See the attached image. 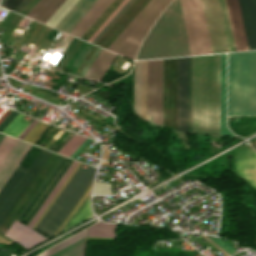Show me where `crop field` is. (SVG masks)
<instances>
[{
  "mask_svg": "<svg viewBox=\"0 0 256 256\" xmlns=\"http://www.w3.org/2000/svg\"><path fill=\"white\" fill-rule=\"evenodd\" d=\"M220 55L193 57V131L219 133Z\"/></svg>",
  "mask_w": 256,
  "mask_h": 256,
  "instance_id": "8a807250",
  "label": "crop field"
},
{
  "mask_svg": "<svg viewBox=\"0 0 256 256\" xmlns=\"http://www.w3.org/2000/svg\"><path fill=\"white\" fill-rule=\"evenodd\" d=\"M191 55L179 0L162 14L142 43L137 58Z\"/></svg>",
  "mask_w": 256,
  "mask_h": 256,
  "instance_id": "ac0d7876",
  "label": "crop field"
},
{
  "mask_svg": "<svg viewBox=\"0 0 256 256\" xmlns=\"http://www.w3.org/2000/svg\"><path fill=\"white\" fill-rule=\"evenodd\" d=\"M228 115H256V52L229 54Z\"/></svg>",
  "mask_w": 256,
  "mask_h": 256,
  "instance_id": "34b2d1b8",
  "label": "crop field"
},
{
  "mask_svg": "<svg viewBox=\"0 0 256 256\" xmlns=\"http://www.w3.org/2000/svg\"><path fill=\"white\" fill-rule=\"evenodd\" d=\"M83 163L73 175L69 183L61 192L59 197L53 203L51 208L36 226V230L51 236L53 232L59 227V225L69 215L82 193L86 189L87 185L91 181L96 168L88 167L87 170L81 169Z\"/></svg>",
  "mask_w": 256,
  "mask_h": 256,
  "instance_id": "412701ff",
  "label": "crop field"
},
{
  "mask_svg": "<svg viewBox=\"0 0 256 256\" xmlns=\"http://www.w3.org/2000/svg\"><path fill=\"white\" fill-rule=\"evenodd\" d=\"M171 1L172 0H151L111 44L108 50L133 60L139 44L147 34L151 25Z\"/></svg>",
  "mask_w": 256,
  "mask_h": 256,
  "instance_id": "f4fd0767",
  "label": "crop field"
},
{
  "mask_svg": "<svg viewBox=\"0 0 256 256\" xmlns=\"http://www.w3.org/2000/svg\"><path fill=\"white\" fill-rule=\"evenodd\" d=\"M50 155L51 152L42 149L28 169L16 168L0 191V223Z\"/></svg>",
  "mask_w": 256,
  "mask_h": 256,
  "instance_id": "dd49c442",
  "label": "crop field"
},
{
  "mask_svg": "<svg viewBox=\"0 0 256 256\" xmlns=\"http://www.w3.org/2000/svg\"><path fill=\"white\" fill-rule=\"evenodd\" d=\"M192 55L212 53L201 0H180Z\"/></svg>",
  "mask_w": 256,
  "mask_h": 256,
  "instance_id": "e52e79f7",
  "label": "crop field"
},
{
  "mask_svg": "<svg viewBox=\"0 0 256 256\" xmlns=\"http://www.w3.org/2000/svg\"><path fill=\"white\" fill-rule=\"evenodd\" d=\"M177 58L163 60L162 127L176 130Z\"/></svg>",
  "mask_w": 256,
  "mask_h": 256,
  "instance_id": "d8731c3e",
  "label": "crop field"
},
{
  "mask_svg": "<svg viewBox=\"0 0 256 256\" xmlns=\"http://www.w3.org/2000/svg\"><path fill=\"white\" fill-rule=\"evenodd\" d=\"M78 164L77 161H74V163L71 165V167L68 169V171L65 173V175L62 177V179L59 181V183L56 185V187L53 189L51 194L48 196V198L43 203L42 207L38 211L37 215L34 217V219L31 221V223L26 226L24 224L19 223L18 221H15L9 231L6 233L5 236L15 240L20 245H22L24 248L29 249L42 241L46 240L47 238L39 234L38 232L31 229L35 221L38 217L41 216L49 202L52 200L54 195L57 193V191L60 189L62 184L65 182L67 177L70 175V173L73 171L75 166ZM39 219V218H38ZM14 241V242H15ZM17 243V244H18Z\"/></svg>",
  "mask_w": 256,
  "mask_h": 256,
  "instance_id": "5a996713",
  "label": "crop field"
},
{
  "mask_svg": "<svg viewBox=\"0 0 256 256\" xmlns=\"http://www.w3.org/2000/svg\"><path fill=\"white\" fill-rule=\"evenodd\" d=\"M162 60L148 61V115L161 125Z\"/></svg>",
  "mask_w": 256,
  "mask_h": 256,
  "instance_id": "3316defc",
  "label": "crop field"
},
{
  "mask_svg": "<svg viewBox=\"0 0 256 256\" xmlns=\"http://www.w3.org/2000/svg\"><path fill=\"white\" fill-rule=\"evenodd\" d=\"M60 158V155L52 153V155L49 157L47 162L44 164V166L41 168L39 173L36 175L34 180L31 182L29 187L26 189L24 194L21 196V198L18 200L16 205L13 207V209L10 211V213L7 215V217L4 219V221L0 225V232L5 235L7 230L10 228L16 217L19 215V213L22 211V209L25 207L27 202L30 200L32 195L35 193L37 188L40 186L42 181L45 179L47 174L50 172L52 167L55 165L57 160Z\"/></svg>",
  "mask_w": 256,
  "mask_h": 256,
  "instance_id": "28ad6ade",
  "label": "crop field"
},
{
  "mask_svg": "<svg viewBox=\"0 0 256 256\" xmlns=\"http://www.w3.org/2000/svg\"><path fill=\"white\" fill-rule=\"evenodd\" d=\"M177 131L188 132V57L178 58Z\"/></svg>",
  "mask_w": 256,
  "mask_h": 256,
  "instance_id": "d1516ede",
  "label": "crop field"
},
{
  "mask_svg": "<svg viewBox=\"0 0 256 256\" xmlns=\"http://www.w3.org/2000/svg\"><path fill=\"white\" fill-rule=\"evenodd\" d=\"M149 1L150 0H135L100 38L96 45L107 49Z\"/></svg>",
  "mask_w": 256,
  "mask_h": 256,
  "instance_id": "22f410ed",
  "label": "crop field"
},
{
  "mask_svg": "<svg viewBox=\"0 0 256 256\" xmlns=\"http://www.w3.org/2000/svg\"><path fill=\"white\" fill-rule=\"evenodd\" d=\"M72 162H73V160L64 157V159L61 161V163L56 168L54 173L51 175L49 180L46 182L44 187L41 189L39 194L36 196L34 201L31 203L29 208L26 210L24 215L21 217L20 221H24V222H28V223L31 221L33 216L37 213V211L41 207L44 200L47 198L49 193L55 187L57 182L60 180V178L66 172V170L69 168V166L72 164Z\"/></svg>",
  "mask_w": 256,
  "mask_h": 256,
  "instance_id": "cbeb9de0",
  "label": "crop field"
},
{
  "mask_svg": "<svg viewBox=\"0 0 256 256\" xmlns=\"http://www.w3.org/2000/svg\"><path fill=\"white\" fill-rule=\"evenodd\" d=\"M234 155L235 173L256 188V153L242 145Z\"/></svg>",
  "mask_w": 256,
  "mask_h": 256,
  "instance_id": "5142ce71",
  "label": "crop field"
},
{
  "mask_svg": "<svg viewBox=\"0 0 256 256\" xmlns=\"http://www.w3.org/2000/svg\"><path fill=\"white\" fill-rule=\"evenodd\" d=\"M213 53L225 52L215 0H202Z\"/></svg>",
  "mask_w": 256,
  "mask_h": 256,
  "instance_id": "d9b57169",
  "label": "crop field"
},
{
  "mask_svg": "<svg viewBox=\"0 0 256 256\" xmlns=\"http://www.w3.org/2000/svg\"><path fill=\"white\" fill-rule=\"evenodd\" d=\"M30 148L31 145L20 140L15 144L13 149L0 165V189Z\"/></svg>",
  "mask_w": 256,
  "mask_h": 256,
  "instance_id": "733c2abd",
  "label": "crop field"
},
{
  "mask_svg": "<svg viewBox=\"0 0 256 256\" xmlns=\"http://www.w3.org/2000/svg\"><path fill=\"white\" fill-rule=\"evenodd\" d=\"M249 50L256 49V0H239Z\"/></svg>",
  "mask_w": 256,
  "mask_h": 256,
  "instance_id": "4a817a6b",
  "label": "crop field"
},
{
  "mask_svg": "<svg viewBox=\"0 0 256 256\" xmlns=\"http://www.w3.org/2000/svg\"><path fill=\"white\" fill-rule=\"evenodd\" d=\"M237 51L248 50L238 0H227Z\"/></svg>",
  "mask_w": 256,
  "mask_h": 256,
  "instance_id": "bc2a9ffb",
  "label": "crop field"
},
{
  "mask_svg": "<svg viewBox=\"0 0 256 256\" xmlns=\"http://www.w3.org/2000/svg\"><path fill=\"white\" fill-rule=\"evenodd\" d=\"M96 1H97V0H96ZM96 1H95V2H96ZM98 1H99V0H98ZM98 1H97V2H98ZM112 1H113V0H100L98 3L96 2L97 4L94 2L96 5H95L94 3H93V4H94L95 6L92 4L94 7L91 5V6L93 7V9H92V7H91L92 10L89 8L91 11L88 9L90 12L87 10L89 13L86 11L88 14L85 12V13L87 14V15H86V14L84 13L86 16L83 14L85 17L82 15V16L84 17V19H83V17L81 16L83 20L80 18L82 21L79 19L81 22L78 20L80 23L77 21L79 24L76 22L78 25H77L76 23H75V24H76L77 26L74 24L76 27L73 25V26L75 27V29H74V27L72 26L73 29H74V30H73V29L71 28L73 31L70 29L72 32L69 30V31L71 32V34H73V35H75V36H77V37L80 38V37L82 36V34L90 27V25L99 17V15L107 8V6H108ZM69 31H68V32H69ZM68 32H67V33H68ZM70 32H69V33H70ZM71 34H70V35H71Z\"/></svg>",
  "mask_w": 256,
  "mask_h": 256,
  "instance_id": "214f88e0",
  "label": "crop field"
},
{
  "mask_svg": "<svg viewBox=\"0 0 256 256\" xmlns=\"http://www.w3.org/2000/svg\"><path fill=\"white\" fill-rule=\"evenodd\" d=\"M95 0H78L55 28L67 32Z\"/></svg>",
  "mask_w": 256,
  "mask_h": 256,
  "instance_id": "92a150f3",
  "label": "crop field"
},
{
  "mask_svg": "<svg viewBox=\"0 0 256 256\" xmlns=\"http://www.w3.org/2000/svg\"><path fill=\"white\" fill-rule=\"evenodd\" d=\"M225 85H226V54L221 55V95H220V134L233 136L225 121Z\"/></svg>",
  "mask_w": 256,
  "mask_h": 256,
  "instance_id": "dafd665d",
  "label": "crop field"
},
{
  "mask_svg": "<svg viewBox=\"0 0 256 256\" xmlns=\"http://www.w3.org/2000/svg\"><path fill=\"white\" fill-rule=\"evenodd\" d=\"M218 5L220 10L227 50L228 52L236 51L232 29L230 25V20H229V15H228V10H227V5H226V0H218Z\"/></svg>",
  "mask_w": 256,
  "mask_h": 256,
  "instance_id": "00972430",
  "label": "crop field"
},
{
  "mask_svg": "<svg viewBox=\"0 0 256 256\" xmlns=\"http://www.w3.org/2000/svg\"><path fill=\"white\" fill-rule=\"evenodd\" d=\"M115 57H116V54L105 50V52L103 53V55L101 56L97 64L94 66V68L92 69L88 77L100 80V78L103 76V74L105 73V71L107 70V68L112 63Z\"/></svg>",
  "mask_w": 256,
  "mask_h": 256,
  "instance_id": "a9b5d70f",
  "label": "crop field"
},
{
  "mask_svg": "<svg viewBox=\"0 0 256 256\" xmlns=\"http://www.w3.org/2000/svg\"><path fill=\"white\" fill-rule=\"evenodd\" d=\"M86 237L75 243L63 248L51 256H85Z\"/></svg>",
  "mask_w": 256,
  "mask_h": 256,
  "instance_id": "4177f3b9",
  "label": "crop field"
},
{
  "mask_svg": "<svg viewBox=\"0 0 256 256\" xmlns=\"http://www.w3.org/2000/svg\"><path fill=\"white\" fill-rule=\"evenodd\" d=\"M115 225L98 222L89 227L88 236L114 237Z\"/></svg>",
  "mask_w": 256,
  "mask_h": 256,
  "instance_id": "730fd06b",
  "label": "crop field"
},
{
  "mask_svg": "<svg viewBox=\"0 0 256 256\" xmlns=\"http://www.w3.org/2000/svg\"><path fill=\"white\" fill-rule=\"evenodd\" d=\"M90 211V202L89 197L85 200V202L80 206V208L77 210V212L68 220L66 225L64 226V229H67L74 224L82 221L83 219L91 216Z\"/></svg>",
  "mask_w": 256,
  "mask_h": 256,
  "instance_id": "eef30255",
  "label": "crop field"
},
{
  "mask_svg": "<svg viewBox=\"0 0 256 256\" xmlns=\"http://www.w3.org/2000/svg\"><path fill=\"white\" fill-rule=\"evenodd\" d=\"M86 137L74 134L66 144L58 151V153L70 157L73 152L82 144Z\"/></svg>",
  "mask_w": 256,
  "mask_h": 256,
  "instance_id": "ae1a2a85",
  "label": "crop field"
},
{
  "mask_svg": "<svg viewBox=\"0 0 256 256\" xmlns=\"http://www.w3.org/2000/svg\"><path fill=\"white\" fill-rule=\"evenodd\" d=\"M25 115L19 113L3 133L17 137L29 122L22 120Z\"/></svg>",
  "mask_w": 256,
  "mask_h": 256,
  "instance_id": "d3111659",
  "label": "crop field"
},
{
  "mask_svg": "<svg viewBox=\"0 0 256 256\" xmlns=\"http://www.w3.org/2000/svg\"><path fill=\"white\" fill-rule=\"evenodd\" d=\"M65 0H51L37 15L35 20L45 23Z\"/></svg>",
  "mask_w": 256,
  "mask_h": 256,
  "instance_id": "750c4746",
  "label": "crop field"
},
{
  "mask_svg": "<svg viewBox=\"0 0 256 256\" xmlns=\"http://www.w3.org/2000/svg\"><path fill=\"white\" fill-rule=\"evenodd\" d=\"M86 232H87V229L78 233V234H76V235H74V236H72V237H70V238H68V239H66V240H64V241H62V242H60V243H58V244H56V245H54L53 247L49 248L48 250L44 251L43 253H41L38 256H49L50 254H52V253L62 249L63 247L73 243L74 241L86 236Z\"/></svg>",
  "mask_w": 256,
  "mask_h": 256,
  "instance_id": "bd1437ed",
  "label": "crop field"
},
{
  "mask_svg": "<svg viewBox=\"0 0 256 256\" xmlns=\"http://www.w3.org/2000/svg\"><path fill=\"white\" fill-rule=\"evenodd\" d=\"M49 125L39 122L24 138L23 140L35 144L38 139L46 132Z\"/></svg>",
  "mask_w": 256,
  "mask_h": 256,
  "instance_id": "1d83c4d3",
  "label": "crop field"
},
{
  "mask_svg": "<svg viewBox=\"0 0 256 256\" xmlns=\"http://www.w3.org/2000/svg\"><path fill=\"white\" fill-rule=\"evenodd\" d=\"M79 43L80 40L73 38L68 47L66 48V50L64 51V53L62 54L61 58L57 62V65L64 67V65L66 64V62L68 61V59L70 58V56L72 55V53L74 52Z\"/></svg>",
  "mask_w": 256,
  "mask_h": 256,
  "instance_id": "120bbe31",
  "label": "crop field"
},
{
  "mask_svg": "<svg viewBox=\"0 0 256 256\" xmlns=\"http://www.w3.org/2000/svg\"><path fill=\"white\" fill-rule=\"evenodd\" d=\"M16 142L17 139L10 138L7 136H5V138L2 140V142L0 143V164Z\"/></svg>",
  "mask_w": 256,
  "mask_h": 256,
  "instance_id": "d32e631a",
  "label": "crop field"
},
{
  "mask_svg": "<svg viewBox=\"0 0 256 256\" xmlns=\"http://www.w3.org/2000/svg\"><path fill=\"white\" fill-rule=\"evenodd\" d=\"M189 132H192V57H189Z\"/></svg>",
  "mask_w": 256,
  "mask_h": 256,
  "instance_id": "5866460e",
  "label": "crop field"
},
{
  "mask_svg": "<svg viewBox=\"0 0 256 256\" xmlns=\"http://www.w3.org/2000/svg\"><path fill=\"white\" fill-rule=\"evenodd\" d=\"M134 0H129L123 8L114 16V18L105 26V28L96 36V38L92 41V43H96L99 38L108 30V28L117 20V18L126 10V8L133 2Z\"/></svg>",
  "mask_w": 256,
  "mask_h": 256,
  "instance_id": "028f5c9d",
  "label": "crop field"
},
{
  "mask_svg": "<svg viewBox=\"0 0 256 256\" xmlns=\"http://www.w3.org/2000/svg\"><path fill=\"white\" fill-rule=\"evenodd\" d=\"M209 238L211 240H213L217 245H219L223 250H225L228 254L231 255V254L237 252V250H235L233 247H231L229 244H227L222 239L216 238V237H209Z\"/></svg>",
  "mask_w": 256,
  "mask_h": 256,
  "instance_id": "e1f06a70",
  "label": "crop field"
},
{
  "mask_svg": "<svg viewBox=\"0 0 256 256\" xmlns=\"http://www.w3.org/2000/svg\"><path fill=\"white\" fill-rule=\"evenodd\" d=\"M50 0H40L27 14V16L31 18H35L36 15L43 9V7L49 2ZM26 16V17H27Z\"/></svg>",
  "mask_w": 256,
  "mask_h": 256,
  "instance_id": "0bd39190",
  "label": "crop field"
},
{
  "mask_svg": "<svg viewBox=\"0 0 256 256\" xmlns=\"http://www.w3.org/2000/svg\"><path fill=\"white\" fill-rule=\"evenodd\" d=\"M63 159V156H61V158L58 160V162L56 163V165L53 167V169L51 170V172L48 174V176L46 177V179L43 181V183L41 184V186L38 188V190L36 191V193L33 195V197L31 198V200L28 202V204L26 205V207L23 209V211L20 213V215L18 216L17 220H19V218L22 216V214L25 212V210L28 208V206L30 205V203L33 201V199L35 198V196L38 194V192L40 191V189L43 187V185L45 184V182L48 180V178L50 177V175L53 173V171L55 170V168L58 166V164L60 163V161Z\"/></svg>",
  "mask_w": 256,
  "mask_h": 256,
  "instance_id": "b80d0937",
  "label": "crop field"
},
{
  "mask_svg": "<svg viewBox=\"0 0 256 256\" xmlns=\"http://www.w3.org/2000/svg\"><path fill=\"white\" fill-rule=\"evenodd\" d=\"M90 186H91V183L87 189V191L85 192L84 196L82 199L79 200V202L77 203V205L75 206V208L72 210V212L70 213V215L67 217V219L63 222V224L58 228V230L54 233L57 234L60 232V230L63 228L64 224L66 223V221L70 218V216L77 210V208L83 203V201L86 199V197L89 195V191H90ZM68 222V221H67Z\"/></svg>",
  "mask_w": 256,
  "mask_h": 256,
  "instance_id": "c035e120",
  "label": "crop field"
},
{
  "mask_svg": "<svg viewBox=\"0 0 256 256\" xmlns=\"http://www.w3.org/2000/svg\"><path fill=\"white\" fill-rule=\"evenodd\" d=\"M128 0H124L119 7L110 15V17L101 25V27L92 35V37L88 40L91 42L95 36L104 28V26L113 18V16L122 8V6L127 2Z\"/></svg>",
  "mask_w": 256,
  "mask_h": 256,
  "instance_id": "c21b1889",
  "label": "crop field"
},
{
  "mask_svg": "<svg viewBox=\"0 0 256 256\" xmlns=\"http://www.w3.org/2000/svg\"><path fill=\"white\" fill-rule=\"evenodd\" d=\"M79 164L76 166V168L74 169V171L71 173V175L68 177V179L66 180V182L63 184V186L61 187V189L58 191V193L56 194V196L53 198V200L50 202V204L48 205V207L46 208V210L44 211V213L42 214V216L36 221V223L33 226V229L35 228V226L38 224V222L41 220V218L43 217V215L46 213V211L49 209V207L52 205V203L55 201V199L57 198V196L60 194V192L62 191V189L65 187V185L67 184V182L69 181V179L71 178V176L74 174V172L76 171V169L78 168Z\"/></svg>",
  "mask_w": 256,
  "mask_h": 256,
  "instance_id": "03da06ac",
  "label": "crop field"
},
{
  "mask_svg": "<svg viewBox=\"0 0 256 256\" xmlns=\"http://www.w3.org/2000/svg\"><path fill=\"white\" fill-rule=\"evenodd\" d=\"M18 114V112L12 111L0 124V132H2L5 127L14 119V117Z\"/></svg>",
  "mask_w": 256,
  "mask_h": 256,
  "instance_id": "b54c1fbb",
  "label": "crop field"
},
{
  "mask_svg": "<svg viewBox=\"0 0 256 256\" xmlns=\"http://www.w3.org/2000/svg\"><path fill=\"white\" fill-rule=\"evenodd\" d=\"M21 0H6L3 6L13 10ZM20 4V3H19ZM18 4V5H19Z\"/></svg>",
  "mask_w": 256,
  "mask_h": 256,
  "instance_id": "5d738f31",
  "label": "crop field"
},
{
  "mask_svg": "<svg viewBox=\"0 0 256 256\" xmlns=\"http://www.w3.org/2000/svg\"><path fill=\"white\" fill-rule=\"evenodd\" d=\"M38 123V121H34L31 123L24 129V131L18 136V138L22 139L36 124Z\"/></svg>",
  "mask_w": 256,
  "mask_h": 256,
  "instance_id": "d23c7cc5",
  "label": "crop field"
},
{
  "mask_svg": "<svg viewBox=\"0 0 256 256\" xmlns=\"http://www.w3.org/2000/svg\"><path fill=\"white\" fill-rule=\"evenodd\" d=\"M38 2V0H32L25 8L24 10L21 12V14L26 15L29 10Z\"/></svg>",
  "mask_w": 256,
  "mask_h": 256,
  "instance_id": "425ffa30",
  "label": "crop field"
},
{
  "mask_svg": "<svg viewBox=\"0 0 256 256\" xmlns=\"http://www.w3.org/2000/svg\"><path fill=\"white\" fill-rule=\"evenodd\" d=\"M89 141H90V140L87 139L71 157L74 158V157L85 147V145H86Z\"/></svg>",
  "mask_w": 256,
  "mask_h": 256,
  "instance_id": "25e5ab78",
  "label": "crop field"
},
{
  "mask_svg": "<svg viewBox=\"0 0 256 256\" xmlns=\"http://www.w3.org/2000/svg\"><path fill=\"white\" fill-rule=\"evenodd\" d=\"M103 52H104V49H102V51L100 52V54L98 55V57L96 58V60L94 61V63L91 65V67L89 68V70H88L87 73L85 74V77H87V75L89 74V72L91 71V69L93 68V66L95 65V63L98 61V59L100 58V56L102 55Z\"/></svg>",
  "mask_w": 256,
  "mask_h": 256,
  "instance_id": "73cf0c24",
  "label": "crop field"
},
{
  "mask_svg": "<svg viewBox=\"0 0 256 256\" xmlns=\"http://www.w3.org/2000/svg\"><path fill=\"white\" fill-rule=\"evenodd\" d=\"M26 0H22L21 2H20V4L13 10V11H17L19 8H20V6L25 2Z\"/></svg>",
  "mask_w": 256,
  "mask_h": 256,
  "instance_id": "89e229c0",
  "label": "crop field"
},
{
  "mask_svg": "<svg viewBox=\"0 0 256 256\" xmlns=\"http://www.w3.org/2000/svg\"><path fill=\"white\" fill-rule=\"evenodd\" d=\"M31 0H28L22 7H21V9L18 11V13H20L22 10H23V8L30 2Z\"/></svg>",
  "mask_w": 256,
  "mask_h": 256,
  "instance_id": "1f2cbd36",
  "label": "crop field"
},
{
  "mask_svg": "<svg viewBox=\"0 0 256 256\" xmlns=\"http://www.w3.org/2000/svg\"><path fill=\"white\" fill-rule=\"evenodd\" d=\"M4 138V135H1L0 134V142H1V140Z\"/></svg>",
  "mask_w": 256,
  "mask_h": 256,
  "instance_id": "dbb93151",
  "label": "crop field"
},
{
  "mask_svg": "<svg viewBox=\"0 0 256 256\" xmlns=\"http://www.w3.org/2000/svg\"><path fill=\"white\" fill-rule=\"evenodd\" d=\"M5 2V0H2L1 5Z\"/></svg>",
  "mask_w": 256,
  "mask_h": 256,
  "instance_id": "0fb4a251",
  "label": "crop field"
}]
</instances>
